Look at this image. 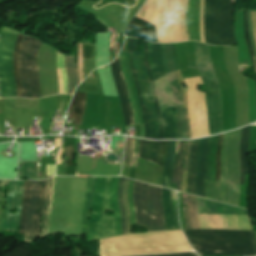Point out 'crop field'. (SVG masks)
I'll return each mask as SVG.
<instances>
[{"label":"crop field","mask_w":256,"mask_h":256,"mask_svg":"<svg viewBox=\"0 0 256 256\" xmlns=\"http://www.w3.org/2000/svg\"><path fill=\"white\" fill-rule=\"evenodd\" d=\"M188 0H148L136 17L154 26L157 42L189 40L185 21Z\"/></svg>","instance_id":"8a807250"},{"label":"crop field","mask_w":256,"mask_h":256,"mask_svg":"<svg viewBox=\"0 0 256 256\" xmlns=\"http://www.w3.org/2000/svg\"><path fill=\"white\" fill-rule=\"evenodd\" d=\"M199 255H256L253 231L183 230Z\"/></svg>","instance_id":"ac0d7876"},{"label":"crop field","mask_w":256,"mask_h":256,"mask_svg":"<svg viewBox=\"0 0 256 256\" xmlns=\"http://www.w3.org/2000/svg\"><path fill=\"white\" fill-rule=\"evenodd\" d=\"M99 242L101 243V251L102 252L189 245L187 243L185 237L183 236L181 230L150 232V233H144V234H124V235H119V236H115V237H111V238H107V239H102V240H99ZM184 248H190V246L146 249V250H133V251H120V252H108V253H103V254L169 250V249H184ZM190 250H192V249L126 253V254H111V255H104V256L159 254V253H172V252H182V251H190Z\"/></svg>","instance_id":"34b2d1b8"},{"label":"crop field","mask_w":256,"mask_h":256,"mask_svg":"<svg viewBox=\"0 0 256 256\" xmlns=\"http://www.w3.org/2000/svg\"><path fill=\"white\" fill-rule=\"evenodd\" d=\"M239 139L240 129L223 134L220 181H205L206 198L237 206L240 179Z\"/></svg>","instance_id":"412701ff"},{"label":"crop field","mask_w":256,"mask_h":256,"mask_svg":"<svg viewBox=\"0 0 256 256\" xmlns=\"http://www.w3.org/2000/svg\"><path fill=\"white\" fill-rule=\"evenodd\" d=\"M203 6L200 7L201 41L217 45H235L233 34L234 0H205L204 34H203Z\"/></svg>","instance_id":"f4fd0767"},{"label":"crop field","mask_w":256,"mask_h":256,"mask_svg":"<svg viewBox=\"0 0 256 256\" xmlns=\"http://www.w3.org/2000/svg\"><path fill=\"white\" fill-rule=\"evenodd\" d=\"M137 39L130 38L129 56L131 70L136 82L139 95L140 106L143 111L144 123L155 119L159 114L155 87L151 76V70L148 65V54L146 41H143L144 55L136 52Z\"/></svg>","instance_id":"dd49c442"},{"label":"crop field","mask_w":256,"mask_h":256,"mask_svg":"<svg viewBox=\"0 0 256 256\" xmlns=\"http://www.w3.org/2000/svg\"><path fill=\"white\" fill-rule=\"evenodd\" d=\"M133 202L137 224L148 232L165 230L160 187L134 181Z\"/></svg>","instance_id":"e52e79f7"},{"label":"crop field","mask_w":256,"mask_h":256,"mask_svg":"<svg viewBox=\"0 0 256 256\" xmlns=\"http://www.w3.org/2000/svg\"><path fill=\"white\" fill-rule=\"evenodd\" d=\"M198 214L247 215L245 210L197 197ZM198 215L201 229L251 230L247 216Z\"/></svg>","instance_id":"d8731c3e"},{"label":"crop field","mask_w":256,"mask_h":256,"mask_svg":"<svg viewBox=\"0 0 256 256\" xmlns=\"http://www.w3.org/2000/svg\"><path fill=\"white\" fill-rule=\"evenodd\" d=\"M148 54L152 68L153 79L166 75L161 44L149 42ZM160 111L169 106H183L182 93L175 73L154 81Z\"/></svg>","instance_id":"5a996713"},{"label":"crop field","mask_w":256,"mask_h":256,"mask_svg":"<svg viewBox=\"0 0 256 256\" xmlns=\"http://www.w3.org/2000/svg\"><path fill=\"white\" fill-rule=\"evenodd\" d=\"M46 179L43 181H25L24 198L18 233L25 240L39 237V227L45 199Z\"/></svg>","instance_id":"3316defc"},{"label":"crop field","mask_w":256,"mask_h":256,"mask_svg":"<svg viewBox=\"0 0 256 256\" xmlns=\"http://www.w3.org/2000/svg\"><path fill=\"white\" fill-rule=\"evenodd\" d=\"M199 73L205 86L210 135L220 133L217 84L212 75L206 44L193 42Z\"/></svg>","instance_id":"28ad6ade"},{"label":"crop field","mask_w":256,"mask_h":256,"mask_svg":"<svg viewBox=\"0 0 256 256\" xmlns=\"http://www.w3.org/2000/svg\"><path fill=\"white\" fill-rule=\"evenodd\" d=\"M39 45L40 41L27 35L23 40L19 57L23 97H41L39 90L38 68L36 66Z\"/></svg>","instance_id":"d1516ede"},{"label":"crop field","mask_w":256,"mask_h":256,"mask_svg":"<svg viewBox=\"0 0 256 256\" xmlns=\"http://www.w3.org/2000/svg\"><path fill=\"white\" fill-rule=\"evenodd\" d=\"M187 86L188 111L191 128V138L209 135L205 108V94L196 90L197 85H202L200 77L184 80Z\"/></svg>","instance_id":"22f410ed"},{"label":"crop field","mask_w":256,"mask_h":256,"mask_svg":"<svg viewBox=\"0 0 256 256\" xmlns=\"http://www.w3.org/2000/svg\"><path fill=\"white\" fill-rule=\"evenodd\" d=\"M18 33L5 27L0 33V97H15L12 53Z\"/></svg>","instance_id":"cbeb9de0"},{"label":"crop field","mask_w":256,"mask_h":256,"mask_svg":"<svg viewBox=\"0 0 256 256\" xmlns=\"http://www.w3.org/2000/svg\"><path fill=\"white\" fill-rule=\"evenodd\" d=\"M24 181L8 180L5 209L1 231L16 232L19 225ZM16 209L14 214L9 210Z\"/></svg>","instance_id":"5142ce71"},{"label":"crop field","mask_w":256,"mask_h":256,"mask_svg":"<svg viewBox=\"0 0 256 256\" xmlns=\"http://www.w3.org/2000/svg\"><path fill=\"white\" fill-rule=\"evenodd\" d=\"M110 65L112 68L115 85H116L117 92L121 102L125 126L127 127L129 125L134 124V122H133L132 109L130 108V105H129L127 90L125 87L123 76L120 72L119 56L116 58L115 61L110 63Z\"/></svg>","instance_id":"d9b57169"},{"label":"crop field","mask_w":256,"mask_h":256,"mask_svg":"<svg viewBox=\"0 0 256 256\" xmlns=\"http://www.w3.org/2000/svg\"><path fill=\"white\" fill-rule=\"evenodd\" d=\"M167 141H146L140 139L139 158L164 165Z\"/></svg>","instance_id":"733c2abd"},{"label":"crop field","mask_w":256,"mask_h":256,"mask_svg":"<svg viewBox=\"0 0 256 256\" xmlns=\"http://www.w3.org/2000/svg\"><path fill=\"white\" fill-rule=\"evenodd\" d=\"M208 139L202 138L200 141V147H199V154H198V168H197V174L195 178V186H196V192L197 195L204 196V176H205V170H206V152L208 147Z\"/></svg>","instance_id":"4a817a6b"},{"label":"crop field","mask_w":256,"mask_h":256,"mask_svg":"<svg viewBox=\"0 0 256 256\" xmlns=\"http://www.w3.org/2000/svg\"><path fill=\"white\" fill-rule=\"evenodd\" d=\"M199 141L200 139L191 141V148H190V155H189L187 193L194 194V195H196L194 178H195L196 167H197V154H198Z\"/></svg>","instance_id":"bc2a9ffb"},{"label":"crop field","mask_w":256,"mask_h":256,"mask_svg":"<svg viewBox=\"0 0 256 256\" xmlns=\"http://www.w3.org/2000/svg\"><path fill=\"white\" fill-rule=\"evenodd\" d=\"M86 93L75 92L71 101L68 118H74L73 124L80 125L84 107H85Z\"/></svg>","instance_id":"214f88e0"},{"label":"crop field","mask_w":256,"mask_h":256,"mask_svg":"<svg viewBox=\"0 0 256 256\" xmlns=\"http://www.w3.org/2000/svg\"><path fill=\"white\" fill-rule=\"evenodd\" d=\"M249 141V126L241 129L240 139V166H241V181L240 185L244 183V174H249V165L247 160Z\"/></svg>","instance_id":"92a150f3"},{"label":"crop field","mask_w":256,"mask_h":256,"mask_svg":"<svg viewBox=\"0 0 256 256\" xmlns=\"http://www.w3.org/2000/svg\"><path fill=\"white\" fill-rule=\"evenodd\" d=\"M177 144H178V141H177ZM184 151H185V141H179L178 154H176L174 166H173V185H172V189L179 190V191H181V177H182Z\"/></svg>","instance_id":"dafd665d"},{"label":"crop field","mask_w":256,"mask_h":256,"mask_svg":"<svg viewBox=\"0 0 256 256\" xmlns=\"http://www.w3.org/2000/svg\"><path fill=\"white\" fill-rule=\"evenodd\" d=\"M175 146L176 141H168V150L165 160V167L163 173V187H167L171 189V181H172V166L175 155Z\"/></svg>","instance_id":"00972430"},{"label":"crop field","mask_w":256,"mask_h":256,"mask_svg":"<svg viewBox=\"0 0 256 256\" xmlns=\"http://www.w3.org/2000/svg\"><path fill=\"white\" fill-rule=\"evenodd\" d=\"M174 107H170L161 114L163 122L164 139H177L176 124L174 120Z\"/></svg>","instance_id":"a9b5d70f"},{"label":"crop field","mask_w":256,"mask_h":256,"mask_svg":"<svg viewBox=\"0 0 256 256\" xmlns=\"http://www.w3.org/2000/svg\"><path fill=\"white\" fill-rule=\"evenodd\" d=\"M217 141L218 135L210 137V143L207 152V170L205 180H214L215 177V153Z\"/></svg>","instance_id":"4177f3b9"},{"label":"crop field","mask_w":256,"mask_h":256,"mask_svg":"<svg viewBox=\"0 0 256 256\" xmlns=\"http://www.w3.org/2000/svg\"><path fill=\"white\" fill-rule=\"evenodd\" d=\"M162 194L166 230H175L173 210L171 204V190L162 188Z\"/></svg>","instance_id":"730fd06b"},{"label":"crop field","mask_w":256,"mask_h":256,"mask_svg":"<svg viewBox=\"0 0 256 256\" xmlns=\"http://www.w3.org/2000/svg\"><path fill=\"white\" fill-rule=\"evenodd\" d=\"M65 69L68 75V93H72L75 86L79 84L77 64H73V55H65Z\"/></svg>","instance_id":"eef30255"},{"label":"crop field","mask_w":256,"mask_h":256,"mask_svg":"<svg viewBox=\"0 0 256 256\" xmlns=\"http://www.w3.org/2000/svg\"><path fill=\"white\" fill-rule=\"evenodd\" d=\"M23 37H24L23 35H20V34L18 35L14 54H13V69H14V78L16 81V97H22V85L20 84L18 56H19V51H20Z\"/></svg>","instance_id":"ae1a2a85"},{"label":"crop field","mask_w":256,"mask_h":256,"mask_svg":"<svg viewBox=\"0 0 256 256\" xmlns=\"http://www.w3.org/2000/svg\"><path fill=\"white\" fill-rule=\"evenodd\" d=\"M94 178L95 177L89 176V180H88V188H87L81 235L87 234V230H88L89 217L91 213V200H92V189H93Z\"/></svg>","instance_id":"d3111659"},{"label":"crop field","mask_w":256,"mask_h":256,"mask_svg":"<svg viewBox=\"0 0 256 256\" xmlns=\"http://www.w3.org/2000/svg\"><path fill=\"white\" fill-rule=\"evenodd\" d=\"M144 126L145 138L163 139L162 123L160 116L155 121L145 123Z\"/></svg>","instance_id":"750c4746"},{"label":"crop field","mask_w":256,"mask_h":256,"mask_svg":"<svg viewBox=\"0 0 256 256\" xmlns=\"http://www.w3.org/2000/svg\"><path fill=\"white\" fill-rule=\"evenodd\" d=\"M52 181H53V177L47 179L46 201H45V205H44L43 224H42V228H41V235L46 234V226H47V219H48V212H49V205H50Z\"/></svg>","instance_id":"bd1437ed"},{"label":"crop field","mask_w":256,"mask_h":256,"mask_svg":"<svg viewBox=\"0 0 256 256\" xmlns=\"http://www.w3.org/2000/svg\"><path fill=\"white\" fill-rule=\"evenodd\" d=\"M190 216V229H200L197 220L196 197L187 194Z\"/></svg>","instance_id":"1d83c4d3"},{"label":"crop field","mask_w":256,"mask_h":256,"mask_svg":"<svg viewBox=\"0 0 256 256\" xmlns=\"http://www.w3.org/2000/svg\"><path fill=\"white\" fill-rule=\"evenodd\" d=\"M123 52H124V49H122V51L120 52V66H121L122 74L124 76V80H125V83H126V86H127L131 107L133 109L134 122H135V124H139L137 114H136L135 105H134V101H133V96H132V93H131L130 84H129V81L127 79L126 71H125V68H124V54H123Z\"/></svg>","instance_id":"120bbe31"},{"label":"crop field","mask_w":256,"mask_h":256,"mask_svg":"<svg viewBox=\"0 0 256 256\" xmlns=\"http://www.w3.org/2000/svg\"><path fill=\"white\" fill-rule=\"evenodd\" d=\"M36 163L24 162L19 164L18 178H35Z\"/></svg>","instance_id":"d32e631a"},{"label":"crop field","mask_w":256,"mask_h":256,"mask_svg":"<svg viewBox=\"0 0 256 256\" xmlns=\"http://www.w3.org/2000/svg\"><path fill=\"white\" fill-rule=\"evenodd\" d=\"M162 48H163V56H164L166 73L168 75L175 72L173 61H172L171 44H162Z\"/></svg>","instance_id":"5866460e"},{"label":"crop field","mask_w":256,"mask_h":256,"mask_svg":"<svg viewBox=\"0 0 256 256\" xmlns=\"http://www.w3.org/2000/svg\"><path fill=\"white\" fill-rule=\"evenodd\" d=\"M175 118H176V124H177L178 139H185L183 108L175 107Z\"/></svg>","instance_id":"028f5c9d"},{"label":"crop field","mask_w":256,"mask_h":256,"mask_svg":"<svg viewBox=\"0 0 256 256\" xmlns=\"http://www.w3.org/2000/svg\"><path fill=\"white\" fill-rule=\"evenodd\" d=\"M124 178L120 177L119 190H118V203L122 214V234L126 233L125 229V212L122 201V189H123Z\"/></svg>","instance_id":"e1f06a70"},{"label":"crop field","mask_w":256,"mask_h":256,"mask_svg":"<svg viewBox=\"0 0 256 256\" xmlns=\"http://www.w3.org/2000/svg\"><path fill=\"white\" fill-rule=\"evenodd\" d=\"M127 187H128V179L125 178L124 190H123V200L126 209V225H127V233H131L130 230V217L127 203Z\"/></svg>","instance_id":"0bd39190"},{"label":"crop field","mask_w":256,"mask_h":256,"mask_svg":"<svg viewBox=\"0 0 256 256\" xmlns=\"http://www.w3.org/2000/svg\"><path fill=\"white\" fill-rule=\"evenodd\" d=\"M58 68H61L63 84H64V93H66L67 78H66V74H65V70H64V55H62L60 52H58V57H57V69Z\"/></svg>","instance_id":"b80d0937"},{"label":"crop field","mask_w":256,"mask_h":256,"mask_svg":"<svg viewBox=\"0 0 256 256\" xmlns=\"http://www.w3.org/2000/svg\"><path fill=\"white\" fill-rule=\"evenodd\" d=\"M133 141L134 139L127 137L124 163L129 165L131 164V155L133 152Z\"/></svg>","instance_id":"c035e120"},{"label":"crop field","mask_w":256,"mask_h":256,"mask_svg":"<svg viewBox=\"0 0 256 256\" xmlns=\"http://www.w3.org/2000/svg\"><path fill=\"white\" fill-rule=\"evenodd\" d=\"M244 38H245L246 43L248 45V49H249L252 65H253V67H254V69L256 71L255 60H254V56H253V53H252V49H251V45H250V41H249V36H248V31H247L246 11L245 10H244Z\"/></svg>","instance_id":"c21b1889"},{"label":"crop field","mask_w":256,"mask_h":256,"mask_svg":"<svg viewBox=\"0 0 256 256\" xmlns=\"http://www.w3.org/2000/svg\"><path fill=\"white\" fill-rule=\"evenodd\" d=\"M132 187H133V181L129 179L128 201H129L130 214H131V223L133 225L135 224V216H134V210H133V204H132Z\"/></svg>","instance_id":"03da06ac"},{"label":"crop field","mask_w":256,"mask_h":256,"mask_svg":"<svg viewBox=\"0 0 256 256\" xmlns=\"http://www.w3.org/2000/svg\"><path fill=\"white\" fill-rule=\"evenodd\" d=\"M221 143H222V134L219 135V144H218V148H217L215 180H219V177H220V146H221Z\"/></svg>","instance_id":"b54c1fbb"},{"label":"crop field","mask_w":256,"mask_h":256,"mask_svg":"<svg viewBox=\"0 0 256 256\" xmlns=\"http://www.w3.org/2000/svg\"><path fill=\"white\" fill-rule=\"evenodd\" d=\"M247 17H248V30H249V36H250V40H251V45H252V49H253V53L256 59V46H255V42L252 36V27H251V16H250V9H247Z\"/></svg>","instance_id":"5d738f31"},{"label":"crop field","mask_w":256,"mask_h":256,"mask_svg":"<svg viewBox=\"0 0 256 256\" xmlns=\"http://www.w3.org/2000/svg\"><path fill=\"white\" fill-rule=\"evenodd\" d=\"M64 149H65V152L68 156L67 166L74 165V160H73L74 147H73V145H71L69 147H65Z\"/></svg>","instance_id":"d23c7cc5"},{"label":"crop field","mask_w":256,"mask_h":256,"mask_svg":"<svg viewBox=\"0 0 256 256\" xmlns=\"http://www.w3.org/2000/svg\"><path fill=\"white\" fill-rule=\"evenodd\" d=\"M182 197H183V209H184L185 226H186V229H189V217H188L186 194L182 193Z\"/></svg>","instance_id":"425ffa30"},{"label":"crop field","mask_w":256,"mask_h":256,"mask_svg":"<svg viewBox=\"0 0 256 256\" xmlns=\"http://www.w3.org/2000/svg\"><path fill=\"white\" fill-rule=\"evenodd\" d=\"M172 198H176V192L172 191ZM173 203V209H174V217H175V226L176 230L180 229L179 224H178V218H177V203L176 199H172Z\"/></svg>","instance_id":"25e5ab78"},{"label":"crop field","mask_w":256,"mask_h":256,"mask_svg":"<svg viewBox=\"0 0 256 256\" xmlns=\"http://www.w3.org/2000/svg\"><path fill=\"white\" fill-rule=\"evenodd\" d=\"M78 68H79V78L82 81V53H81V43H79V54H78Z\"/></svg>","instance_id":"73cf0c24"},{"label":"crop field","mask_w":256,"mask_h":256,"mask_svg":"<svg viewBox=\"0 0 256 256\" xmlns=\"http://www.w3.org/2000/svg\"><path fill=\"white\" fill-rule=\"evenodd\" d=\"M138 141L137 139H135V145H134V153L132 156V164L131 166L135 167L136 161H137V156H138Z\"/></svg>","instance_id":"89e229c0"},{"label":"crop field","mask_w":256,"mask_h":256,"mask_svg":"<svg viewBox=\"0 0 256 256\" xmlns=\"http://www.w3.org/2000/svg\"><path fill=\"white\" fill-rule=\"evenodd\" d=\"M148 256H195L192 252L184 253H172V254H160V255H148Z\"/></svg>","instance_id":"1f2cbd36"},{"label":"crop field","mask_w":256,"mask_h":256,"mask_svg":"<svg viewBox=\"0 0 256 256\" xmlns=\"http://www.w3.org/2000/svg\"><path fill=\"white\" fill-rule=\"evenodd\" d=\"M184 115H185V131H186V139L190 138L189 132V122H188V111L184 108Z\"/></svg>","instance_id":"dbb93151"},{"label":"crop field","mask_w":256,"mask_h":256,"mask_svg":"<svg viewBox=\"0 0 256 256\" xmlns=\"http://www.w3.org/2000/svg\"><path fill=\"white\" fill-rule=\"evenodd\" d=\"M190 141H186V153H185V161H184V170L187 171V159L189 155Z\"/></svg>","instance_id":"0fb4a251"},{"label":"crop field","mask_w":256,"mask_h":256,"mask_svg":"<svg viewBox=\"0 0 256 256\" xmlns=\"http://www.w3.org/2000/svg\"><path fill=\"white\" fill-rule=\"evenodd\" d=\"M251 14H252L253 34L256 42V12H251Z\"/></svg>","instance_id":"1d79db26"},{"label":"crop field","mask_w":256,"mask_h":256,"mask_svg":"<svg viewBox=\"0 0 256 256\" xmlns=\"http://www.w3.org/2000/svg\"><path fill=\"white\" fill-rule=\"evenodd\" d=\"M57 73H58V81H59V93H63V84H62L60 69L57 70Z\"/></svg>","instance_id":"9d1cf04e"},{"label":"crop field","mask_w":256,"mask_h":256,"mask_svg":"<svg viewBox=\"0 0 256 256\" xmlns=\"http://www.w3.org/2000/svg\"><path fill=\"white\" fill-rule=\"evenodd\" d=\"M63 152V149L61 148L58 152V157H57V164H60V155Z\"/></svg>","instance_id":"447ae74e"},{"label":"crop field","mask_w":256,"mask_h":256,"mask_svg":"<svg viewBox=\"0 0 256 256\" xmlns=\"http://www.w3.org/2000/svg\"><path fill=\"white\" fill-rule=\"evenodd\" d=\"M55 145H56V148L61 146L60 139H55Z\"/></svg>","instance_id":"0765c3eb"},{"label":"crop field","mask_w":256,"mask_h":256,"mask_svg":"<svg viewBox=\"0 0 256 256\" xmlns=\"http://www.w3.org/2000/svg\"><path fill=\"white\" fill-rule=\"evenodd\" d=\"M0 183H1V180H0Z\"/></svg>","instance_id":"db79e9e6"}]
</instances>
